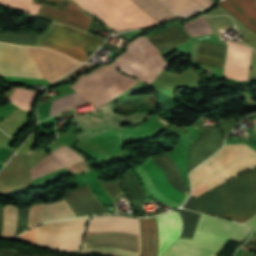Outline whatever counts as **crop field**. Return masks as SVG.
Masks as SVG:
<instances>
[{"mask_svg": "<svg viewBox=\"0 0 256 256\" xmlns=\"http://www.w3.org/2000/svg\"><path fill=\"white\" fill-rule=\"evenodd\" d=\"M139 81L119 74L111 65L100 66L86 76H80L71 86L92 104L99 107Z\"/></svg>", "mask_w": 256, "mask_h": 256, "instance_id": "crop-field-7", "label": "crop field"}, {"mask_svg": "<svg viewBox=\"0 0 256 256\" xmlns=\"http://www.w3.org/2000/svg\"><path fill=\"white\" fill-rule=\"evenodd\" d=\"M201 212L243 223L256 214V169L198 196Z\"/></svg>", "mask_w": 256, "mask_h": 256, "instance_id": "crop-field-2", "label": "crop field"}, {"mask_svg": "<svg viewBox=\"0 0 256 256\" xmlns=\"http://www.w3.org/2000/svg\"><path fill=\"white\" fill-rule=\"evenodd\" d=\"M83 160V157L64 146L45 157L30 169L31 179L38 178L55 170Z\"/></svg>", "mask_w": 256, "mask_h": 256, "instance_id": "crop-field-17", "label": "crop field"}, {"mask_svg": "<svg viewBox=\"0 0 256 256\" xmlns=\"http://www.w3.org/2000/svg\"><path fill=\"white\" fill-rule=\"evenodd\" d=\"M74 1L89 13L100 17L114 30L145 27L157 23L132 0Z\"/></svg>", "mask_w": 256, "mask_h": 256, "instance_id": "crop-field-6", "label": "crop field"}, {"mask_svg": "<svg viewBox=\"0 0 256 256\" xmlns=\"http://www.w3.org/2000/svg\"><path fill=\"white\" fill-rule=\"evenodd\" d=\"M0 256H17V253L9 252L0 249Z\"/></svg>", "mask_w": 256, "mask_h": 256, "instance_id": "crop-field-41", "label": "crop field"}, {"mask_svg": "<svg viewBox=\"0 0 256 256\" xmlns=\"http://www.w3.org/2000/svg\"><path fill=\"white\" fill-rule=\"evenodd\" d=\"M112 65L149 84L168 64L145 37H140L128 44Z\"/></svg>", "mask_w": 256, "mask_h": 256, "instance_id": "crop-field-8", "label": "crop field"}, {"mask_svg": "<svg viewBox=\"0 0 256 256\" xmlns=\"http://www.w3.org/2000/svg\"><path fill=\"white\" fill-rule=\"evenodd\" d=\"M223 139L217 126L210 128L200 139L198 138L188 153V174L194 167L218 150L223 144Z\"/></svg>", "mask_w": 256, "mask_h": 256, "instance_id": "crop-field-16", "label": "crop field"}, {"mask_svg": "<svg viewBox=\"0 0 256 256\" xmlns=\"http://www.w3.org/2000/svg\"><path fill=\"white\" fill-rule=\"evenodd\" d=\"M196 199H197L196 196L190 195L189 199L187 200V202L185 203V205L183 207L191 209V210L199 211L197 203H196Z\"/></svg>", "mask_w": 256, "mask_h": 256, "instance_id": "crop-field-39", "label": "crop field"}, {"mask_svg": "<svg viewBox=\"0 0 256 256\" xmlns=\"http://www.w3.org/2000/svg\"><path fill=\"white\" fill-rule=\"evenodd\" d=\"M246 224H248L253 229V231L256 232V216L248 221Z\"/></svg>", "mask_w": 256, "mask_h": 256, "instance_id": "crop-field-40", "label": "crop field"}, {"mask_svg": "<svg viewBox=\"0 0 256 256\" xmlns=\"http://www.w3.org/2000/svg\"><path fill=\"white\" fill-rule=\"evenodd\" d=\"M91 68V65H82L80 68H78L77 70L73 71L72 73L68 74L67 76L63 77L62 79H60L59 81L57 82H63V81H69L71 80V78L77 74V73H83L85 71H87L88 69Z\"/></svg>", "mask_w": 256, "mask_h": 256, "instance_id": "crop-field-37", "label": "crop field"}, {"mask_svg": "<svg viewBox=\"0 0 256 256\" xmlns=\"http://www.w3.org/2000/svg\"><path fill=\"white\" fill-rule=\"evenodd\" d=\"M46 1L58 3L62 0ZM69 1L71 2L70 6L65 8L52 9L41 6L38 16L87 32L90 26L91 17L88 16L72 0Z\"/></svg>", "mask_w": 256, "mask_h": 256, "instance_id": "crop-field-14", "label": "crop field"}, {"mask_svg": "<svg viewBox=\"0 0 256 256\" xmlns=\"http://www.w3.org/2000/svg\"><path fill=\"white\" fill-rule=\"evenodd\" d=\"M220 6L256 33V9L247 0H223Z\"/></svg>", "mask_w": 256, "mask_h": 256, "instance_id": "crop-field-19", "label": "crop field"}, {"mask_svg": "<svg viewBox=\"0 0 256 256\" xmlns=\"http://www.w3.org/2000/svg\"><path fill=\"white\" fill-rule=\"evenodd\" d=\"M88 218L51 222L38 226L37 244L62 251L78 250Z\"/></svg>", "mask_w": 256, "mask_h": 256, "instance_id": "crop-field-10", "label": "crop field"}, {"mask_svg": "<svg viewBox=\"0 0 256 256\" xmlns=\"http://www.w3.org/2000/svg\"><path fill=\"white\" fill-rule=\"evenodd\" d=\"M253 123H254V125H255V130H256V120H253Z\"/></svg>", "mask_w": 256, "mask_h": 256, "instance_id": "crop-field-45", "label": "crop field"}, {"mask_svg": "<svg viewBox=\"0 0 256 256\" xmlns=\"http://www.w3.org/2000/svg\"><path fill=\"white\" fill-rule=\"evenodd\" d=\"M256 168V152L246 144H227L191 173L192 185L204 181L211 188Z\"/></svg>", "mask_w": 256, "mask_h": 256, "instance_id": "crop-field-5", "label": "crop field"}, {"mask_svg": "<svg viewBox=\"0 0 256 256\" xmlns=\"http://www.w3.org/2000/svg\"><path fill=\"white\" fill-rule=\"evenodd\" d=\"M183 27L191 37L211 34V26L203 16L188 21Z\"/></svg>", "mask_w": 256, "mask_h": 256, "instance_id": "crop-field-31", "label": "crop field"}, {"mask_svg": "<svg viewBox=\"0 0 256 256\" xmlns=\"http://www.w3.org/2000/svg\"><path fill=\"white\" fill-rule=\"evenodd\" d=\"M225 57L226 46L199 40L195 63L223 68Z\"/></svg>", "mask_w": 256, "mask_h": 256, "instance_id": "crop-field-20", "label": "crop field"}, {"mask_svg": "<svg viewBox=\"0 0 256 256\" xmlns=\"http://www.w3.org/2000/svg\"><path fill=\"white\" fill-rule=\"evenodd\" d=\"M101 39L59 24L39 46L55 49L84 62L89 58L85 54L94 49Z\"/></svg>", "mask_w": 256, "mask_h": 256, "instance_id": "crop-field-11", "label": "crop field"}, {"mask_svg": "<svg viewBox=\"0 0 256 256\" xmlns=\"http://www.w3.org/2000/svg\"><path fill=\"white\" fill-rule=\"evenodd\" d=\"M121 183L132 197L133 201L145 202L146 194L131 171L121 180Z\"/></svg>", "mask_w": 256, "mask_h": 256, "instance_id": "crop-field-30", "label": "crop field"}, {"mask_svg": "<svg viewBox=\"0 0 256 256\" xmlns=\"http://www.w3.org/2000/svg\"><path fill=\"white\" fill-rule=\"evenodd\" d=\"M75 215L69 209L64 199L47 204H35L31 206L28 228L49 220L73 218Z\"/></svg>", "mask_w": 256, "mask_h": 256, "instance_id": "crop-field-18", "label": "crop field"}, {"mask_svg": "<svg viewBox=\"0 0 256 256\" xmlns=\"http://www.w3.org/2000/svg\"><path fill=\"white\" fill-rule=\"evenodd\" d=\"M198 3H200L202 6L206 7L214 2H212L211 0H196Z\"/></svg>", "mask_w": 256, "mask_h": 256, "instance_id": "crop-field-42", "label": "crop field"}, {"mask_svg": "<svg viewBox=\"0 0 256 256\" xmlns=\"http://www.w3.org/2000/svg\"><path fill=\"white\" fill-rule=\"evenodd\" d=\"M248 233L238 223L202 214L193 240L177 239L162 256H217L229 239L240 242Z\"/></svg>", "mask_w": 256, "mask_h": 256, "instance_id": "crop-field-4", "label": "crop field"}, {"mask_svg": "<svg viewBox=\"0 0 256 256\" xmlns=\"http://www.w3.org/2000/svg\"><path fill=\"white\" fill-rule=\"evenodd\" d=\"M103 186L111 199L117 198L118 194L122 193L116 181L103 183Z\"/></svg>", "mask_w": 256, "mask_h": 256, "instance_id": "crop-field-35", "label": "crop field"}, {"mask_svg": "<svg viewBox=\"0 0 256 256\" xmlns=\"http://www.w3.org/2000/svg\"><path fill=\"white\" fill-rule=\"evenodd\" d=\"M183 220V230L180 237L192 239L201 214L178 209Z\"/></svg>", "mask_w": 256, "mask_h": 256, "instance_id": "crop-field-29", "label": "crop field"}, {"mask_svg": "<svg viewBox=\"0 0 256 256\" xmlns=\"http://www.w3.org/2000/svg\"><path fill=\"white\" fill-rule=\"evenodd\" d=\"M158 23L174 18L167 10L154 0H133Z\"/></svg>", "mask_w": 256, "mask_h": 256, "instance_id": "crop-field-26", "label": "crop field"}, {"mask_svg": "<svg viewBox=\"0 0 256 256\" xmlns=\"http://www.w3.org/2000/svg\"><path fill=\"white\" fill-rule=\"evenodd\" d=\"M0 3H1V0H0Z\"/></svg>", "mask_w": 256, "mask_h": 256, "instance_id": "crop-field-46", "label": "crop field"}, {"mask_svg": "<svg viewBox=\"0 0 256 256\" xmlns=\"http://www.w3.org/2000/svg\"><path fill=\"white\" fill-rule=\"evenodd\" d=\"M2 224H3V207L0 206V234H1Z\"/></svg>", "mask_w": 256, "mask_h": 256, "instance_id": "crop-field-43", "label": "crop field"}, {"mask_svg": "<svg viewBox=\"0 0 256 256\" xmlns=\"http://www.w3.org/2000/svg\"><path fill=\"white\" fill-rule=\"evenodd\" d=\"M148 39L160 53L190 42L177 26L151 35Z\"/></svg>", "mask_w": 256, "mask_h": 256, "instance_id": "crop-field-21", "label": "crop field"}, {"mask_svg": "<svg viewBox=\"0 0 256 256\" xmlns=\"http://www.w3.org/2000/svg\"><path fill=\"white\" fill-rule=\"evenodd\" d=\"M157 219L160 235V252ZM157 219L156 216L141 219V256H158V252L159 256H161L166 247L176 240L181 233L182 221L177 211L157 215Z\"/></svg>", "mask_w": 256, "mask_h": 256, "instance_id": "crop-field-9", "label": "crop field"}, {"mask_svg": "<svg viewBox=\"0 0 256 256\" xmlns=\"http://www.w3.org/2000/svg\"><path fill=\"white\" fill-rule=\"evenodd\" d=\"M38 95L39 92L17 87L9 101L23 110L31 111L32 105L37 99Z\"/></svg>", "mask_w": 256, "mask_h": 256, "instance_id": "crop-field-27", "label": "crop field"}, {"mask_svg": "<svg viewBox=\"0 0 256 256\" xmlns=\"http://www.w3.org/2000/svg\"><path fill=\"white\" fill-rule=\"evenodd\" d=\"M89 104L83 97H81L77 92L63 96L61 98L52 101L51 105V115L58 113L61 110Z\"/></svg>", "mask_w": 256, "mask_h": 256, "instance_id": "crop-field-25", "label": "crop field"}, {"mask_svg": "<svg viewBox=\"0 0 256 256\" xmlns=\"http://www.w3.org/2000/svg\"><path fill=\"white\" fill-rule=\"evenodd\" d=\"M211 189L210 187H208L206 184H204L203 182L195 185L192 187V195H200L202 193H204L205 191Z\"/></svg>", "mask_w": 256, "mask_h": 256, "instance_id": "crop-field-38", "label": "crop field"}, {"mask_svg": "<svg viewBox=\"0 0 256 256\" xmlns=\"http://www.w3.org/2000/svg\"><path fill=\"white\" fill-rule=\"evenodd\" d=\"M256 8V0H248Z\"/></svg>", "mask_w": 256, "mask_h": 256, "instance_id": "crop-field-44", "label": "crop field"}, {"mask_svg": "<svg viewBox=\"0 0 256 256\" xmlns=\"http://www.w3.org/2000/svg\"><path fill=\"white\" fill-rule=\"evenodd\" d=\"M0 41L19 45L36 46V36L24 32L0 33Z\"/></svg>", "mask_w": 256, "mask_h": 256, "instance_id": "crop-field-32", "label": "crop field"}, {"mask_svg": "<svg viewBox=\"0 0 256 256\" xmlns=\"http://www.w3.org/2000/svg\"><path fill=\"white\" fill-rule=\"evenodd\" d=\"M30 186L28 153L15 155L0 172V193Z\"/></svg>", "mask_w": 256, "mask_h": 256, "instance_id": "crop-field-13", "label": "crop field"}, {"mask_svg": "<svg viewBox=\"0 0 256 256\" xmlns=\"http://www.w3.org/2000/svg\"><path fill=\"white\" fill-rule=\"evenodd\" d=\"M134 169L139 175L144 187L158 200L174 208L184 203L187 196L174 189L161 169L149 158L145 163Z\"/></svg>", "mask_w": 256, "mask_h": 256, "instance_id": "crop-field-12", "label": "crop field"}, {"mask_svg": "<svg viewBox=\"0 0 256 256\" xmlns=\"http://www.w3.org/2000/svg\"><path fill=\"white\" fill-rule=\"evenodd\" d=\"M108 130H111V129H100V130H89V131L78 132L77 133L78 140L86 139V138L92 137L94 135L106 132Z\"/></svg>", "mask_w": 256, "mask_h": 256, "instance_id": "crop-field-36", "label": "crop field"}, {"mask_svg": "<svg viewBox=\"0 0 256 256\" xmlns=\"http://www.w3.org/2000/svg\"><path fill=\"white\" fill-rule=\"evenodd\" d=\"M4 5L24 10L31 14H37L40 5L32 3V0H4Z\"/></svg>", "mask_w": 256, "mask_h": 256, "instance_id": "crop-field-33", "label": "crop field"}, {"mask_svg": "<svg viewBox=\"0 0 256 256\" xmlns=\"http://www.w3.org/2000/svg\"><path fill=\"white\" fill-rule=\"evenodd\" d=\"M64 197L76 217L107 213L88 184L75 190L66 191Z\"/></svg>", "mask_w": 256, "mask_h": 256, "instance_id": "crop-field-15", "label": "crop field"}, {"mask_svg": "<svg viewBox=\"0 0 256 256\" xmlns=\"http://www.w3.org/2000/svg\"><path fill=\"white\" fill-rule=\"evenodd\" d=\"M150 159L153 160L162 169L165 176L174 188L184 194H187V183L182 180L178 166L167 153L151 157Z\"/></svg>", "mask_w": 256, "mask_h": 256, "instance_id": "crop-field-22", "label": "crop field"}, {"mask_svg": "<svg viewBox=\"0 0 256 256\" xmlns=\"http://www.w3.org/2000/svg\"><path fill=\"white\" fill-rule=\"evenodd\" d=\"M90 231H123L140 235L138 219L126 216L93 217L87 232ZM123 232L87 233L81 252L139 256L140 236Z\"/></svg>", "mask_w": 256, "mask_h": 256, "instance_id": "crop-field-3", "label": "crop field"}, {"mask_svg": "<svg viewBox=\"0 0 256 256\" xmlns=\"http://www.w3.org/2000/svg\"><path fill=\"white\" fill-rule=\"evenodd\" d=\"M174 16L182 17L203 8L193 0H156Z\"/></svg>", "mask_w": 256, "mask_h": 256, "instance_id": "crop-field-24", "label": "crop field"}, {"mask_svg": "<svg viewBox=\"0 0 256 256\" xmlns=\"http://www.w3.org/2000/svg\"><path fill=\"white\" fill-rule=\"evenodd\" d=\"M29 208L18 209V226L16 236L27 230Z\"/></svg>", "mask_w": 256, "mask_h": 256, "instance_id": "crop-field-34", "label": "crop field"}, {"mask_svg": "<svg viewBox=\"0 0 256 256\" xmlns=\"http://www.w3.org/2000/svg\"><path fill=\"white\" fill-rule=\"evenodd\" d=\"M17 226V208L12 205L4 206V224L1 237H14Z\"/></svg>", "mask_w": 256, "mask_h": 256, "instance_id": "crop-field-28", "label": "crop field"}, {"mask_svg": "<svg viewBox=\"0 0 256 256\" xmlns=\"http://www.w3.org/2000/svg\"><path fill=\"white\" fill-rule=\"evenodd\" d=\"M80 64L51 50L0 43V75L33 76L53 83Z\"/></svg>", "mask_w": 256, "mask_h": 256, "instance_id": "crop-field-1", "label": "crop field"}, {"mask_svg": "<svg viewBox=\"0 0 256 256\" xmlns=\"http://www.w3.org/2000/svg\"><path fill=\"white\" fill-rule=\"evenodd\" d=\"M168 125L163 119L153 116L149 121L145 124L140 125L138 127L127 129V130H115L118 136L121 138L122 141L160 129Z\"/></svg>", "mask_w": 256, "mask_h": 256, "instance_id": "crop-field-23", "label": "crop field"}]
</instances>
